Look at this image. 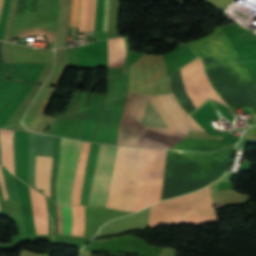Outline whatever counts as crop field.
<instances>
[{
    "instance_id": "7",
    "label": "crop field",
    "mask_w": 256,
    "mask_h": 256,
    "mask_svg": "<svg viewBox=\"0 0 256 256\" xmlns=\"http://www.w3.org/2000/svg\"><path fill=\"white\" fill-rule=\"evenodd\" d=\"M13 133L14 131L0 128V145H1L2 163L12 173H14V157H13V148H12Z\"/></svg>"
},
{
    "instance_id": "14",
    "label": "crop field",
    "mask_w": 256,
    "mask_h": 256,
    "mask_svg": "<svg viewBox=\"0 0 256 256\" xmlns=\"http://www.w3.org/2000/svg\"><path fill=\"white\" fill-rule=\"evenodd\" d=\"M0 187H1V190H2L3 198L4 199L8 198L7 193H6V189H5V186H4L3 178H2L1 167H0Z\"/></svg>"
},
{
    "instance_id": "16",
    "label": "crop field",
    "mask_w": 256,
    "mask_h": 256,
    "mask_svg": "<svg viewBox=\"0 0 256 256\" xmlns=\"http://www.w3.org/2000/svg\"><path fill=\"white\" fill-rule=\"evenodd\" d=\"M91 251H81L79 256H90Z\"/></svg>"
},
{
    "instance_id": "19",
    "label": "crop field",
    "mask_w": 256,
    "mask_h": 256,
    "mask_svg": "<svg viewBox=\"0 0 256 256\" xmlns=\"http://www.w3.org/2000/svg\"><path fill=\"white\" fill-rule=\"evenodd\" d=\"M1 210V209H0Z\"/></svg>"
},
{
    "instance_id": "15",
    "label": "crop field",
    "mask_w": 256,
    "mask_h": 256,
    "mask_svg": "<svg viewBox=\"0 0 256 256\" xmlns=\"http://www.w3.org/2000/svg\"><path fill=\"white\" fill-rule=\"evenodd\" d=\"M49 254L50 253L39 255V254H36V253H32V252L22 250L19 256H49Z\"/></svg>"
},
{
    "instance_id": "8",
    "label": "crop field",
    "mask_w": 256,
    "mask_h": 256,
    "mask_svg": "<svg viewBox=\"0 0 256 256\" xmlns=\"http://www.w3.org/2000/svg\"><path fill=\"white\" fill-rule=\"evenodd\" d=\"M89 145L90 143H87V142H84L83 144L79 165H78V170L76 174L74 189H73L72 204L80 205V190H81Z\"/></svg>"
},
{
    "instance_id": "2",
    "label": "crop field",
    "mask_w": 256,
    "mask_h": 256,
    "mask_svg": "<svg viewBox=\"0 0 256 256\" xmlns=\"http://www.w3.org/2000/svg\"><path fill=\"white\" fill-rule=\"evenodd\" d=\"M147 98L168 128L204 131L180 108L173 94L153 96L127 94L117 144L137 146ZM178 129L141 127L138 146L169 149L184 139L188 131Z\"/></svg>"
},
{
    "instance_id": "9",
    "label": "crop field",
    "mask_w": 256,
    "mask_h": 256,
    "mask_svg": "<svg viewBox=\"0 0 256 256\" xmlns=\"http://www.w3.org/2000/svg\"><path fill=\"white\" fill-rule=\"evenodd\" d=\"M86 0H81L80 29L84 30ZM94 6L95 0H87L85 30L94 31Z\"/></svg>"
},
{
    "instance_id": "12",
    "label": "crop field",
    "mask_w": 256,
    "mask_h": 256,
    "mask_svg": "<svg viewBox=\"0 0 256 256\" xmlns=\"http://www.w3.org/2000/svg\"><path fill=\"white\" fill-rule=\"evenodd\" d=\"M108 10H109V0H105V5H104V31H107Z\"/></svg>"
},
{
    "instance_id": "6",
    "label": "crop field",
    "mask_w": 256,
    "mask_h": 256,
    "mask_svg": "<svg viewBox=\"0 0 256 256\" xmlns=\"http://www.w3.org/2000/svg\"><path fill=\"white\" fill-rule=\"evenodd\" d=\"M51 167L52 158L36 157V188L44 189V194L49 197Z\"/></svg>"
},
{
    "instance_id": "10",
    "label": "crop field",
    "mask_w": 256,
    "mask_h": 256,
    "mask_svg": "<svg viewBox=\"0 0 256 256\" xmlns=\"http://www.w3.org/2000/svg\"><path fill=\"white\" fill-rule=\"evenodd\" d=\"M58 234H68L71 231L72 212L71 206H58Z\"/></svg>"
},
{
    "instance_id": "1",
    "label": "crop field",
    "mask_w": 256,
    "mask_h": 256,
    "mask_svg": "<svg viewBox=\"0 0 256 256\" xmlns=\"http://www.w3.org/2000/svg\"><path fill=\"white\" fill-rule=\"evenodd\" d=\"M117 146H100L88 205H106ZM142 149L117 148L106 207L135 211ZM166 151L143 149L137 210L160 200Z\"/></svg>"
},
{
    "instance_id": "11",
    "label": "crop field",
    "mask_w": 256,
    "mask_h": 256,
    "mask_svg": "<svg viewBox=\"0 0 256 256\" xmlns=\"http://www.w3.org/2000/svg\"><path fill=\"white\" fill-rule=\"evenodd\" d=\"M79 0H72L70 27H78Z\"/></svg>"
},
{
    "instance_id": "4",
    "label": "crop field",
    "mask_w": 256,
    "mask_h": 256,
    "mask_svg": "<svg viewBox=\"0 0 256 256\" xmlns=\"http://www.w3.org/2000/svg\"><path fill=\"white\" fill-rule=\"evenodd\" d=\"M82 143L81 141L62 138L59 172L56 180V199L58 204L71 205V190Z\"/></svg>"
},
{
    "instance_id": "5",
    "label": "crop field",
    "mask_w": 256,
    "mask_h": 256,
    "mask_svg": "<svg viewBox=\"0 0 256 256\" xmlns=\"http://www.w3.org/2000/svg\"><path fill=\"white\" fill-rule=\"evenodd\" d=\"M180 71L185 90L197 107L208 97L224 103L211 88L203 72L202 62L199 58L182 67Z\"/></svg>"
},
{
    "instance_id": "13",
    "label": "crop field",
    "mask_w": 256,
    "mask_h": 256,
    "mask_svg": "<svg viewBox=\"0 0 256 256\" xmlns=\"http://www.w3.org/2000/svg\"><path fill=\"white\" fill-rule=\"evenodd\" d=\"M159 256H176V251L168 248H163Z\"/></svg>"
},
{
    "instance_id": "18",
    "label": "crop field",
    "mask_w": 256,
    "mask_h": 256,
    "mask_svg": "<svg viewBox=\"0 0 256 256\" xmlns=\"http://www.w3.org/2000/svg\"><path fill=\"white\" fill-rule=\"evenodd\" d=\"M1 45H2V42H1ZM2 52H3V46H2ZM3 59H4V52H3ZM4 62H5V59H4Z\"/></svg>"
},
{
    "instance_id": "17",
    "label": "crop field",
    "mask_w": 256,
    "mask_h": 256,
    "mask_svg": "<svg viewBox=\"0 0 256 256\" xmlns=\"http://www.w3.org/2000/svg\"><path fill=\"white\" fill-rule=\"evenodd\" d=\"M2 5H3V0H0V13H1Z\"/></svg>"
},
{
    "instance_id": "3",
    "label": "crop field",
    "mask_w": 256,
    "mask_h": 256,
    "mask_svg": "<svg viewBox=\"0 0 256 256\" xmlns=\"http://www.w3.org/2000/svg\"><path fill=\"white\" fill-rule=\"evenodd\" d=\"M217 221L209 186L193 194L173 198L150 206L148 227L159 224L204 225Z\"/></svg>"
}]
</instances>
